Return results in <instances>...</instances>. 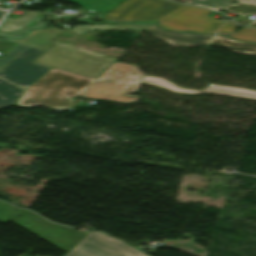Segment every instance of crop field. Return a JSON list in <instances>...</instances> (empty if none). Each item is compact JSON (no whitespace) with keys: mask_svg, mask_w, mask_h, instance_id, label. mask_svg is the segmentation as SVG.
<instances>
[{"mask_svg":"<svg viewBox=\"0 0 256 256\" xmlns=\"http://www.w3.org/2000/svg\"><path fill=\"white\" fill-rule=\"evenodd\" d=\"M140 83L161 86L173 92L191 94L208 93L248 99H256V91H249L225 86L213 85L203 91H189L176 87L163 79L145 76L136 70V66L113 63L97 80H95L80 96L108 99L130 103L140 97L131 96Z\"/></svg>","mask_w":256,"mask_h":256,"instance_id":"crop-field-1","label":"crop field"},{"mask_svg":"<svg viewBox=\"0 0 256 256\" xmlns=\"http://www.w3.org/2000/svg\"><path fill=\"white\" fill-rule=\"evenodd\" d=\"M95 79L52 68L26 89L20 105L65 109L73 107L71 96H79Z\"/></svg>","mask_w":256,"mask_h":256,"instance_id":"crop-field-2","label":"crop field"},{"mask_svg":"<svg viewBox=\"0 0 256 256\" xmlns=\"http://www.w3.org/2000/svg\"><path fill=\"white\" fill-rule=\"evenodd\" d=\"M114 61V58L103 56L98 59L53 44L33 62L97 79Z\"/></svg>","mask_w":256,"mask_h":256,"instance_id":"crop-field-3","label":"crop field"},{"mask_svg":"<svg viewBox=\"0 0 256 256\" xmlns=\"http://www.w3.org/2000/svg\"><path fill=\"white\" fill-rule=\"evenodd\" d=\"M181 6L166 0H125L102 18L121 22L152 21Z\"/></svg>","mask_w":256,"mask_h":256,"instance_id":"crop-field-4","label":"crop field"},{"mask_svg":"<svg viewBox=\"0 0 256 256\" xmlns=\"http://www.w3.org/2000/svg\"><path fill=\"white\" fill-rule=\"evenodd\" d=\"M20 218H14L13 222L68 251L85 235L70 228L49 223L46 220L34 215L28 210L20 214ZM46 226V228L42 226Z\"/></svg>","mask_w":256,"mask_h":256,"instance_id":"crop-field-5","label":"crop field"},{"mask_svg":"<svg viewBox=\"0 0 256 256\" xmlns=\"http://www.w3.org/2000/svg\"><path fill=\"white\" fill-rule=\"evenodd\" d=\"M209 12L200 8L184 6L156 21L161 23L160 26L169 30H191L216 34L223 22L205 16Z\"/></svg>","mask_w":256,"mask_h":256,"instance_id":"crop-field-6","label":"crop field"},{"mask_svg":"<svg viewBox=\"0 0 256 256\" xmlns=\"http://www.w3.org/2000/svg\"><path fill=\"white\" fill-rule=\"evenodd\" d=\"M65 256H147L110 236L91 232Z\"/></svg>","mask_w":256,"mask_h":256,"instance_id":"crop-field-7","label":"crop field"},{"mask_svg":"<svg viewBox=\"0 0 256 256\" xmlns=\"http://www.w3.org/2000/svg\"><path fill=\"white\" fill-rule=\"evenodd\" d=\"M41 53L42 51L29 47L0 71V77L26 89L51 69V67L31 63Z\"/></svg>","mask_w":256,"mask_h":256,"instance_id":"crop-field-8","label":"crop field"},{"mask_svg":"<svg viewBox=\"0 0 256 256\" xmlns=\"http://www.w3.org/2000/svg\"><path fill=\"white\" fill-rule=\"evenodd\" d=\"M145 32L163 40L172 46L185 45L189 47H195L199 45H206L213 38V36L210 35L166 32L165 30L152 24L149 25Z\"/></svg>","mask_w":256,"mask_h":256,"instance_id":"crop-field-9","label":"crop field"},{"mask_svg":"<svg viewBox=\"0 0 256 256\" xmlns=\"http://www.w3.org/2000/svg\"><path fill=\"white\" fill-rule=\"evenodd\" d=\"M210 45L229 49L236 53L256 55V45L232 41L224 36H216L210 43Z\"/></svg>","mask_w":256,"mask_h":256,"instance_id":"crop-field-10","label":"crop field"},{"mask_svg":"<svg viewBox=\"0 0 256 256\" xmlns=\"http://www.w3.org/2000/svg\"><path fill=\"white\" fill-rule=\"evenodd\" d=\"M149 24H88L70 29L79 34L93 29L114 30V29H129V30H145Z\"/></svg>","mask_w":256,"mask_h":256,"instance_id":"crop-field-11","label":"crop field"},{"mask_svg":"<svg viewBox=\"0 0 256 256\" xmlns=\"http://www.w3.org/2000/svg\"><path fill=\"white\" fill-rule=\"evenodd\" d=\"M22 89L0 79V108L12 105Z\"/></svg>","mask_w":256,"mask_h":256,"instance_id":"crop-field-12","label":"crop field"},{"mask_svg":"<svg viewBox=\"0 0 256 256\" xmlns=\"http://www.w3.org/2000/svg\"><path fill=\"white\" fill-rule=\"evenodd\" d=\"M38 12H27L26 14L19 17V19L6 18L0 27V32L12 33L20 29L28 21L39 15Z\"/></svg>","mask_w":256,"mask_h":256,"instance_id":"crop-field-13","label":"crop field"},{"mask_svg":"<svg viewBox=\"0 0 256 256\" xmlns=\"http://www.w3.org/2000/svg\"><path fill=\"white\" fill-rule=\"evenodd\" d=\"M60 33L61 31L58 29L53 30L52 33H37L31 40L26 42L24 45L46 50L49 46H51L54 43L51 41L52 38Z\"/></svg>","mask_w":256,"mask_h":256,"instance_id":"crop-field-14","label":"crop field"},{"mask_svg":"<svg viewBox=\"0 0 256 256\" xmlns=\"http://www.w3.org/2000/svg\"><path fill=\"white\" fill-rule=\"evenodd\" d=\"M237 2L240 4H231L223 10L239 15H248L250 13L256 15V0H238Z\"/></svg>","mask_w":256,"mask_h":256,"instance_id":"crop-field-15","label":"crop field"},{"mask_svg":"<svg viewBox=\"0 0 256 256\" xmlns=\"http://www.w3.org/2000/svg\"><path fill=\"white\" fill-rule=\"evenodd\" d=\"M43 16L44 15L37 16L36 18L31 20L29 23H27L25 26H23L19 31H17L13 34L0 33V36L22 38L23 36L26 35V33L29 31V29L42 28V23H43L42 17Z\"/></svg>","mask_w":256,"mask_h":256,"instance_id":"crop-field-16","label":"crop field"},{"mask_svg":"<svg viewBox=\"0 0 256 256\" xmlns=\"http://www.w3.org/2000/svg\"><path fill=\"white\" fill-rule=\"evenodd\" d=\"M24 209L16 208L6 202L0 201V222L5 224L22 212Z\"/></svg>","mask_w":256,"mask_h":256,"instance_id":"crop-field-17","label":"crop field"},{"mask_svg":"<svg viewBox=\"0 0 256 256\" xmlns=\"http://www.w3.org/2000/svg\"><path fill=\"white\" fill-rule=\"evenodd\" d=\"M233 0H193L189 4L203 6L211 10H218Z\"/></svg>","mask_w":256,"mask_h":256,"instance_id":"crop-field-18","label":"crop field"},{"mask_svg":"<svg viewBox=\"0 0 256 256\" xmlns=\"http://www.w3.org/2000/svg\"><path fill=\"white\" fill-rule=\"evenodd\" d=\"M228 37L256 43V30L242 28L231 33Z\"/></svg>","mask_w":256,"mask_h":256,"instance_id":"crop-field-19","label":"crop field"},{"mask_svg":"<svg viewBox=\"0 0 256 256\" xmlns=\"http://www.w3.org/2000/svg\"><path fill=\"white\" fill-rule=\"evenodd\" d=\"M28 46L18 44L13 50H11L4 58L0 59V70L22 53Z\"/></svg>","mask_w":256,"mask_h":256,"instance_id":"crop-field-20","label":"crop field"},{"mask_svg":"<svg viewBox=\"0 0 256 256\" xmlns=\"http://www.w3.org/2000/svg\"><path fill=\"white\" fill-rule=\"evenodd\" d=\"M55 28H50V29H39V30H33L31 31L30 33L27 34V36L25 38H23L22 40H16V39H10V38H5V39H8V40H11V41H15V42H19V43H25L26 41H28L29 39L32 38V36L37 33V32H47V31H51ZM4 38V37H2Z\"/></svg>","mask_w":256,"mask_h":256,"instance_id":"crop-field-21","label":"crop field"},{"mask_svg":"<svg viewBox=\"0 0 256 256\" xmlns=\"http://www.w3.org/2000/svg\"><path fill=\"white\" fill-rule=\"evenodd\" d=\"M235 23H233L232 21H228L222 28L221 30L219 31V34H222V35H229L231 32H233V29L236 27L234 26Z\"/></svg>","mask_w":256,"mask_h":256,"instance_id":"crop-field-22","label":"crop field"},{"mask_svg":"<svg viewBox=\"0 0 256 256\" xmlns=\"http://www.w3.org/2000/svg\"><path fill=\"white\" fill-rule=\"evenodd\" d=\"M79 13L81 14H87V15H93V16H100L102 17L103 15H105L104 13H98V12H92V11H86V10H82Z\"/></svg>","mask_w":256,"mask_h":256,"instance_id":"crop-field-23","label":"crop field"},{"mask_svg":"<svg viewBox=\"0 0 256 256\" xmlns=\"http://www.w3.org/2000/svg\"><path fill=\"white\" fill-rule=\"evenodd\" d=\"M249 27H255L256 28V21L251 22L249 25H247Z\"/></svg>","mask_w":256,"mask_h":256,"instance_id":"crop-field-24","label":"crop field"},{"mask_svg":"<svg viewBox=\"0 0 256 256\" xmlns=\"http://www.w3.org/2000/svg\"><path fill=\"white\" fill-rule=\"evenodd\" d=\"M175 1H179V2H182V3L187 4V3H189V2L192 1V0H175Z\"/></svg>","mask_w":256,"mask_h":256,"instance_id":"crop-field-25","label":"crop field"},{"mask_svg":"<svg viewBox=\"0 0 256 256\" xmlns=\"http://www.w3.org/2000/svg\"><path fill=\"white\" fill-rule=\"evenodd\" d=\"M21 95H22V93L20 94V96H21ZM20 96H19V97L17 98V100L14 102L13 106H17L16 103H17V101L19 100ZM17 107H19V106H17ZM24 108H28V107H24Z\"/></svg>","mask_w":256,"mask_h":256,"instance_id":"crop-field-26","label":"crop field"},{"mask_svg":"<svg viewBox=\"0 0 256 256\" xmlns=\"http://www.w3.org/2000/svg\"><path fill=\"white\" fill-rule=\"evenodd\" d=\"M3 14H4V12H1V11H0V18H1V16H2Z\"/></svg>","mask_w":256,"mask_h":256,"instance_id":"crop-field-27","label":"crop field"}]
</instances>
